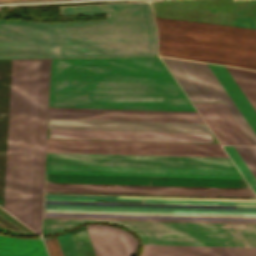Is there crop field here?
<instances>
[{
    "instance_id": "crop-field-1",
    "label": "crop field",
    "mask_w": 256,
    "mask_h": 256,
    "mask_svg": "<svg viewBox=\"0 0 256 256\" xmlns=\"http://www.w3.org/2000/svg\"><path fill=\"white\" fill-rule=\"evenodd\" d=\"M60 14H107V21L0 20V58L157 54L148 3L60 7Z\"/></svg>"
},
{
    "instance_id": "crop-field-2",
    "label": "crop field",
    "mask_w": 256,
    "mask_h": 256,
    "mask_svg": "<svg viewBox=\"0 0 256 256\" xmlns=\"http://www.w3.org/2000/svg\"><path fill=\"white\" fill-rule=\"evenodd\" d=\"M49 107L195 111L159 57L53 59Z\"/></svg>"
},
{
    "instance_id": "crop-field-3",
    "label": "crop field",
    "mask_w": 256,
    "mask_h": 256,
    "mask_svg": "<svg viewBox=\"0 0 256 256\" xmlns=\"http://www.w3.org/2000/svg\"><path fill=\"white\" fill-rule=\"evenodd\" d=\"M46 173L242 178L237 170L46 165ZM46 174L45 182L249 188L243 179ZM45 184V191L255 197L226 188Z\"/></svg>"
},
{
    "instance_id": "crop-field-4",
    "label": "crop field",
    "mask_w": 256,
    "mask_h": 256,
    "mask_svg": "<svg viewBox=\"0 0 256 256\" xmlns=\"http://www.w3.org/2000/svg\"><path fill=\"white\" fill-rule=\"evenodd\" d=\"M43 217L256 223V201L44 195Z\"/></svg>"
},
{
    "instance_id": "crop-field-5",
    "label": "crop field",
    "mask_w": 256,
    "mask_h": 256,
    "mask_svg": "<svg viewBox=\"0 0 256 256\" xmlns=\"http://www.w3.org/2000/svg\"><path fill=\"white\" fill-rule=\"evenodd\" d=\"M37 60H25L16 218L28 225ZM50 59L38 60L29 227L41 234Z\"/></svg>"
},
{
    "instance_id": "crop-field-6",
    "label": "crop field",
    "mask_w": 256,
    "mask_h": 256,
    "mask_svg": "<svg viewBox=\"0 0 256 256\" xmlns=\"http://www.w3.org/2000/svg\"><path fill=\"white\" fill-rule=\"evenodd\" d=\"M154 18L159 55L256 70V29Z\"/></svg>"
},
{
    "instance_id": "crop-field-7",
    "label": "crop field",
    "mask_w": 256,
    "mask_h": 256,
    "mask_svg": "<svg viewBox=\"0 0 256 256\" xmlns=\"http://www.w3.org/2000/svg\"><path fill=\"white\" fill-rule=\"evenodd\" d=\"M87 221H108L137 233L143 244L256 247V224L43 218L42 234Z\"/></svg>"
},
{
    "instance_id": "crop-field-8",
    "label": "crop field",
    "mask_w": 256,
    "mask_h": 256,
    "mask_svg": "<svg viewBox=\"0 0 256 256\" xmlns=\"http://www.w3.org/2000/svg\"><path fill=\"white\" fill-rule=\"evenodd\" d=\"M47 151L227 157L219 144L47 139Z\"/></svg>"
},
{
    "instance_id": "crop-field-9",
    "label": "crop field",
    "mask_w": 256,
    "mask_h": 256,
    "mask_svg": "<svg viewBox=\"0 0 256 256\" xmlns=\"http://www.w3.org/2000/svg\"><path fill=\"white\" fill-rule=\"evenodd\" d=\"M46 164L235 169L229 158L47 152Z\"/></svg>"
},
{
    "instance_id": "crop-field-10",
    "label": "crop field",
    "mask_w": 256,
    "mask_h": 256,
    "mask_svg": "<svg viewBox=\"0 0 256 256\" xmlns=\"http://www.w3.org/2000/svg\"><path fill=\"white\" fill-rule=\"evenodd\" d=\"M191 102H224L252 145L256 135L207 64L162 57Z\"/></svg>"
},
{
    "instance_id": "crop-field-11",
    "label": "crop field",
    "mask_w": 256,
    "mask_h": 256,
    "mask_svg": "<svg viewBox=\"0 0 256 256\" xmlns=\"http://www.w3.org/2000/svg\"><path fill=\"white\" fill-rule=\"evenodd\" d=\"M48 128L211 133L205 123L48 119Z\"/></svg>"
},
{
    "instance_id": "crop-field-12",
    "label": "crop field",
    "mask_w": 256,
    "mask_h": 256,
    "mask_svg": "<svg viewBox=\"0 0 256 256\" xmlns=\"http://www.w3.org/2000/svg\"><path fill=\"white\" fill-rule=\"evenodd\" d=\"M49 118L203 122L197 112L49 108Z\"/></svg>"
},
{
    "instance_id": "crop-field-13",
    "label": "crop field",
    "mask_w": 256,
    "mask_h": 256,
    "mask_svg": "<svg viewBox=\"0 0 256 256\" xmlns=\"http://www.w3.org/2000/svg\"><path fill=\"white\" fill-rule=\"evenodd\" d=\"M52 138L209 142L210 134L52 129Z\"/></svg>"
},
{
    "instance_id": "crop-field-14",
    "label": "crop field",
    "mask_w": 256,
    "mask_h": 256,
    "mask_svg": "<svg viewBox=\"0 0 256 256\" xmlns=\"http://www.w3.org/2000/svg\"><path fill=\"white\" fill-rule=\"evenodd\" d=\"M86 227L96 256L134 255L137 242L130 233L105 225Z\"/></svg>"
},
{
    "instance_id": "crop-field-15",
    "label": "crop field",
    "mask_w": 256,
    "mask_h": 256,
    "mask_svg": "<svg viewBox=\"0 0 256 256\" xmlns=\"http://www.w3.org/2000/svg\"><path fill=\"white\" fill-rule=\"evenodd\" d=\"M139 256H256V248L143 245Z\"/></svg>"
},
{
    "instance_id": "crop-field-16",
    "label": "crop field",
    "mask_w": 256,
    "mask_h": 256,
    "mask_svg": "<svg viewBox=\"0 0 256 256\" xmlns=\"http://www.w3.org/2000/svg\"><path fill=\"white\" fill-rule=\"evenodd\" d=\"M77 256H95L85 226L70 232ZM69 234L56 236L64 256H76ZM55 236L44 238L50 256H63Z\"/></svg>"
},
{
    "instance_id": "crop-field-17",
    "label": "crop field",
    "mask_w": 256,
    "mask_h": 256,
    "mask_svg": "<svg viewBox=\"0 0 256 256\" xmlns=\"http://www.w3.org/2000/svg\"><path fill=\"white\" fill-rule=\"evenodd\" d=\"M244 117L256 132V111L236 84L225 66L208 64Z\"/></svg>"
},
{
    "instance_id": "crop-field-18",
    "label": "crop field",
    "mask_w": 256,
    "mask_h": 256,
    "mask_svg": "<svg viewBox=\"0 0 256 256\" xmlns=\"http://www.w3.org/2000/svg\"><path fill=\"white\" fill-rule=\"evenodd\" d=\"M0 255L47 256L42 240L17 239L0 236Z\"/></svg>"
},
{
    "instance_id": "crop-field-19",
    "label": "crop field",
    "mask_w": 256,
    "mask_h": 256,
    "mask_svg": "<svg viewBox=\"0 0 256 256\" xmlns=\"http://www.w3.org/2000/svg\"><path fill=\"white\" fill-rule=\"evenodd\" d=\"M221 144H237L210 103H193Z\"/></svg>"
},
{
    "instance_id": "crop-field-20",
    "label": "crop field",
    "mask_w": 256,
    "mask_h": 256,
    "mask_svg": "<svg viewBox=\"0 0 256 256\" xmlns=\"http://www.w3.org/2000/svg\"><path fill=\"white\" fill-rule=\"evenodd\" d=\"M226 68L256 110V72L243 68Z\"/></svg>"
},
{
    "instance_id": "crop-field-21",
    "label": "crop field",
    "mask_w": 256,
    "mask_h": 256,
    "mask_svg": "<svg viewBox=\"0 0 256 256\" xmlns=\"http://www.w3.org/2000/svg\"><path fill=\"white\" fill-rule=\"evenodd\" d=\"M213 108L216 110L222 121L225 123L233 137L236 139L238 144L251 145L239 125L236 123L224 103H211Z\"/></svg>"
},
{
    "instance_id": "crop-field-22",
    "label": "crop field",
    "mask_w": 256,
    "mask_h": 256,
    "mask_svg": "<svg viewBox=\"0 0 256 256\" xmlns=\"http://www.w3.org/2000/svg\"><path fill=\"white\" fill-rule=\"evenodd\" d=\"M223 147L225 148V150L227 151L229 156L232 158V160L234 161V163L236 164V166L238 167L240 172L243 174L245 179L246 178L248 179L247 180L248 183L250 184V186L253 188V190L256 193V179L254 178L252 173L249 171V169L247 168L245 163L242 161V159L240 158L238 153L235 151L233 146H223Z\"/></svg>"
},
{
    "instance_id": "crop-field-23",
    "label": "crop field",
    "mask_w": 256,
    "mask_h": 256,
    "mask_svg": "<svg viewBox=\"0 0 256 256\" xmlns=\"http://www.w3.org/2000/svg\"><path fill=\"white\" fill-rule=\"evenodd\" d=\"M256 178V147L234 146Z\"/></svg>"
},
{
    "instance_id": "crop-field-24",
    "label": "crop field",
    "mask_w": 256,
    "mask_h": 256,
    "mask_svg": "<svg viewBox=\"0 0 256 256\" xmlns=\"http://www.w3.org/2000/svg\"><path fill=\"white\" fill-rule=\"evenodd\" d=\"M0 1H21V0H0Z\"/></svg>"
}]
</instances>
